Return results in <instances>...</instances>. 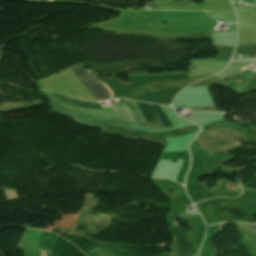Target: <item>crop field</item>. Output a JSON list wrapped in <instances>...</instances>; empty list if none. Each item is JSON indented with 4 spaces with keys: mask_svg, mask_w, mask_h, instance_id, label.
Returning a JSON list of instances; mask_svg holds the SVG:
<instances>
[{
    "mask_svg": "<svg viewBox=\"0 0 256 256\" xmlns=\"http://www.w3.org/2000/svg\"><path fill=\"white\" fill-rule=\"evenodd\" d=\"M183 87L180 88H172V89H164L158 90L150 93H145L137 96L130 97L132 99H137L141 101L157 103V104H164L169 105L171 104L172 99L177 94V92ZM127 97V96H125ZM129 98V97H127Z\"/></svg>",
    "mask_w": 256,
    "mask_h": 256,
    "instance_id": "crop-field-2",
    "label": "crop field"
},
{
    "mask_svg": "<svg viewBox=\"0 0 256 256\" xmlns=\"http://www.w3.org/2000/svg\"><path fill=\"white\" fill-rule=\"evenodd\" d=\"M52 95H53L54 101L58 102V103H64V104H70V105H76V106H83V107H90V108L99 109L97 102H86V101H81V100H78V99H72V98H68V97L58 95L54 92H52Z\"/></svg>",
    "mask_w": 256,
    "mask_h": 256,
    "instance_id": "crop-field-4",
    "label": "crop field"
},
{
    "mask_svg": "<svg viewBox=\"0 0 256 256\" xmlns=\"http://www.w3.org/2000/svg\"><path fill=\"white\" fill-rule=\"evenodd\" d=\"M71 68L76 73V75L80 78V80L84 83V85L88 88V90L92 93V95L96 98L97 101H103L111 98L113 99L111 90L104 84V86L111 93V98H110V93L102 85L103 83L92 79L89 73L85 70V68L82 65L77 64V65L71 66Z\"/></svg>",
    "mask_w": 256,
    "mask_h": 256,
    "instance_id": "crop-field-1",
    "label": "crop field"
},
{
    "mask_svg": "<svg viewBox=\"0 0 256 256\" xmlns=\"http://www.w3.org/2000/svg\"><path fill=\"white\" fill-rule=\"evenodd\" d=\"M236 147H240V144H231V145H223V146H217L213 149H209V150H205V152L208 154V155H211V154H215V153H218V152H222V151H227V150H231V149H234Z\"/></svg>",
    "mask_w": 256,
    "mask_h": 256,
    "instance_id": "crop-field-5",
    "label": "crop field"
},
{
    "mask_svg": "<svg viewBox=\"0 0 256 256\" xmlns=\"http://www.w3.org/2000/svg\"><path fill=\"white\" fill-rule=\"evenodd\" d=\"M139 105H140V108L142 110V113L144 115V118L147 122H152V123H155L157 122L155 115L157 116H161V119H162V123H163V128H168V127H172L162 106H159V105H152V108H153V111H154V114H153V111H152V108H151V105L149 103H142V102H138Z\"/></svg>",
    "mask_w": 256,
    "mask_h": 256,
    "instance_id": "crop-field-3",
    "label": "crop field"
}]
</instances>
